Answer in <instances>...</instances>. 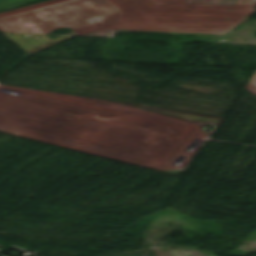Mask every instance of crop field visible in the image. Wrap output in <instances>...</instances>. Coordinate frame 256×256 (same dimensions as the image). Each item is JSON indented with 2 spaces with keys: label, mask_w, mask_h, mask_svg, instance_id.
<instances>
[{
  "label": "crop field",
  "mask_w": 256,
  "mask_h": 256,
  "mask_svg": "<svg viewBox=\"0 0 256 256\" xmlns=\"http://www.w3.org/2000/svg\"><path fill=\"white\" fill-rule=\"evenodd\" d=\"M35 1H39V0H15L7 3H3V4H0V10L20 6V5L35 2Z\"/></svg>",
  "instance_id": "ac0d7876"
},
{
  "label": "crop field",
  "mask_w": 256,
  "mask_h": 256,
  "mask_svg": "<svg viewBox=\"0 0 256 256\" xmlns=\"http://www.w3.org/2000/svg\"><path fill=\"white\" fill-rule=\"evenodd\" d=\"M7 1H11V0H0V3L7 2Z\"/></svg>",
  "instance_id": "34b2d1b8"
},
{
  "label": "crop field",
  "mask_w": 256,
  "mask_h": 256,
  "mask_svg": "<svg viewBox=\"0 0 256 256\" xmlns=\"http://www.w3.org/2000/svg\"><path fill=\"white\" fill-rule=\"evenodd\" d=\"M185 0H53L0 14V28L51 32L92 29L226 35L248 7L183 3Z\"/></svg>",
  "instance_id": "8a807250"
}]
</instances>
